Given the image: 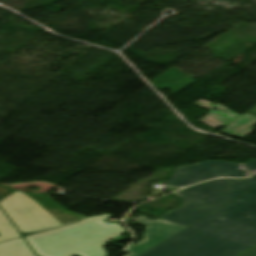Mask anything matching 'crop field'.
I'll use <instances>...</instances> for the list:
<instances>
[{"instance_id": "crop-field-1", "label": "crop field", "mask_w": 256, "mask_h": 256, "mask_svg": "<svg viewBox=\"0 0 256 256\" xmlns=\"http://www.w3.org/2000/svg\"><path fill=\"white\" fill-rule=\"evenodd\" d=\"M175 194L186 204L160 219L189 227L140 256H238L256 245V175Z\"/></svg>"}, {"instance_id": "crop-field-2", "label": "crop field", "mask_w": 256, "mask_h": 256, "mask_svg": "<svg viewBox=\"0 0 256 256\" xmlns=\"http://www.w3.org/2000/svg\"><path fill=\"white\" fill-rule=\"evenodd\" d=\"M112 215L105 214L83 219L82 221L26 236L25 239L39 256H107L104 242H120L125 237V229L115 224L108 226L103 220Z\"/></svg>"}, {"instance_id": "crop-field-3", "label": "crop field", "mask_w": 256, "mask_h": 256, "mask_svg": "<svg viewBox=\"0 0 256 256\" xmlns=\"http://www.w3.org/2000/svg\"><path fill=\"white\" fill-rule=\"evenodd\" d=\"M0 206L22 233L50 230L84 218L65 210L42 193H23L2 186Z\"/></svg>"}, {"instance_id": "crop-field-4", "label": "crop field", "mask_w": 256, "mask_h": 256, "mask_svg": "<svg viewBox=\"0 0 256 256\" xmlns=\"http://www.w3.org/2000/svg\"><path fill=\"white\" fill-rule=\"evenodd\" d=\"M256 172V160L247 164L208 161L178 167L167 185L188 186L215 177H247Z\"/></svg>"}, {"instance_id": "crop-field-5", "label": "crop field", "mask_w": 256, "mask_h": 256, "mask_svg": "<svg viewBox=\"0 0 256 256\" xmlns=\"http://www.w3.org/2000/svg\"><path fill=\"white\" fill-rule=\"evenodd\" d=\"M136 221L148 227L146 228L144 240L126 249V252L130 253L127 256H138L187 227L163 220L148 221L147 217L141 215Z\"/></svg>"}, {"instance_id": "crop-field-6", "label": "crop field", "mask_w": 256, "mask_h": 256, "mask_svg": "<svg viewBox=\"0 0 256 256\" xmlns=\"http://www.w3.org/2000/svg\"><path fill=\"white\" fill-rule=\"evenodd\" d=\"M193 104L210 110L208 114L205 117H203L200 121L210 125L215 129L218 127H224L230 124L232 121H234L240 116L229 111L228 109L224 108L223 106L217 103H211L203 99ZM213 109H216L218 112H213ZM224 111H227V112H224ZM225 115H228V116H225Z\"/></svg>"}, {"instance_id": "crop-field-7", "label": "crop field", "mask_w": 256, "mask_h": 256, "mask_svg": "<svg viewBox=\"0 0 256 256\" xmlns=\"http://www.w3.org/2000/svg\"><path fill=\"white\" fill-rule=\"evenodd\" d=\"M256 124V116L250 114L243 115L237 120L232 122L229 127L220 131L228 136H234L238 138H243L249 133L254 131L253 126Z\"/></svg>"}, {"instance_id": "crop-field-8", "label": "crop field", "mask_w": 256, "mask_h": 256, "mask_svg": "<svg viewBox=\"0 0 256 256\" xmlns=\"http://www.w3.org/2000/svg\"><path fill=\"white\" fill-rule=\"evenodd\" d=\"M0 256H34L23 238L0 244Z\"/></svg>"}, {"instance_id": "crop-field-9", "label": "crop field", "mask_w": 256, "mask_h": 256, "mask_svg": "<svg viewBox=\"0 0 256 256\" xmlns=\"http://www.w3.org/2000/svg\"><path fill=\"white\" fill-rule=\"evenodd\" d=\"M21 238L20 233L0 208V243Z\"/></svg>"}, {"instance_id": "crop-field-10", "label": "crop field", "mask_w": 256, "mask_h": 256, "mask_svg": "<svg viewBox=\"0 0 256 256\" xmlns=\"http://www.w3.org/2000/svg\"><path fill=\"white\" fill-rule=\"evenodd\" d=\"M242 256H256V247L248 251L247 253L243 254Z\"/></svg>"}]
</instances>
